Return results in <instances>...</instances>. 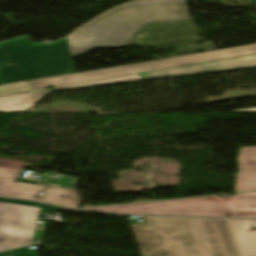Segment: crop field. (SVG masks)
Here are the masks:
<instances>
[{"instance_id": "obj_1", "label": "crop field", "mask_w": 256, "mask_h": 256, "mask_svg": "<svg viewBox=\"0 0 256 256\" xmlns=\"http://www.w3.org/2000/svg\"><path fill=\"white\" fill-rule=\"evenodd\" d=\"M190 19L186 3L123 5L78 28L63 40L31 43L28 36L0 43L2 84L74 73L72 58L93 48L126 46L148 23Z\"/></svg>"}, {"instance_id": "obj_3", "label": "crop field", "mask_w": 256, "mask_h": 256, "mask_svg": "<svg viewBox=\"0 0 256 256\" xmlns=\"http://www.w3.org/2000/svg\"><path fill=\"white\" fill-rule=\"evenodd\" d=\"M256 54V44L29 81L34 90Z\"/></svg>"}, {"instance_id": "obj_5", "label": "crop field", "mask_w": 256, "mask_h": 256, "mask_svg": "<svg viewBox=\"0 0 256 256\" xmlns=\"http://www.w3.org/2000/svg\"><path fill=\"white\" fill-rule=\"evenodd\" d=\"M40 210L0 202V252L31 244Z\"/></svg>"}, {"instance_id": "obj_9", "label": "crop field", "mask_w": 256, "mask_h": 256, "mask_svg": "<svg viewBox=\"0 0 256 256\" xmlns=\"http://www.w3.org/2000/svg\"><path fill=\"white\" fill-rule=\"evenodd\" d=\"M235 192L256 190V146L242 147Z\"/></svg>"}, {"instance_id": "obj_11", "label": "crop field", "mask_w": 256, "mask_h": 256, "mask_svg": "<svg viewBox=\"0 0 256 256\" xmlns=\"http://www.w3.org/2000/svg\"><path fill=\"white\" fill-rule=\"evenodd\" d=\"M51 91H37L26 94L0 97V112H20L39 103Z\"/></svg>"}, {"instance_id": "obj_14", "label": "crop field", "mask_w": 256, "mask_h": 256, "mask_svg": "<svg viewBox=\"0 0 256 256\" xmlns=\"http://www.w3.org/2000/svg\"><path fill=\"white\" fill-rule=\"evenodd\" d=\"M139 79H141L139 77V75L134 74V75H128V76H122V77H116V78H110V79H104V80H98V81H92V82H86V83H80V84H74V85H68V86H62V87H56V88H53V89L91 86V85H99V84H107V83H114V82L139 80Z\"/></svg>"}, {"instance_id": "obj_15", "label": "crop field", "mask_w": 256, "mask_h": 256, "mask_svg": "<svg viewBox=\"0 0 256 256\" xmlns=\"http://www.w3.org/2000/svg\"><path fill=\"white\" fill-rule=\"evenodd\" d=\"M31 90L32 88L30 87L28 82L4 85V86H0V96L19 93V92H25V91H31Z\"/></svg>"}, {"instance_id": "obj_2", "label": "crop field", "mask_w": 256, "mask_h": 256, "mask_svg": "<svg viewBox=\"0 0 256 256\" xmlns=\"http://www.w3.org/2000/svg\"><path fill=\"white\" fill-rule=\"evenodd\" d=\"M144 218L131 225L142 256H213L199 218Z\"/></svg>"}, {"instance_id": "obj_10", "label": "crop field", "mask_w": 256, "mask_h": 256, "mask_svg": "<svg viewBox=\"0 0 256 256\" xmlns=\"http://www.w3.org/2000/svg\"><path fill=\"white\" fill-rule=\"evenodd\" d=\"M228 220V219H227ZM241 256H256V232L250 233V221L228 220ZM256 227V221H252Z\"/></svg>"}, {"instance_id": "obj_4", "label": "crop field", "mask_w": 256, "mask_h": 256, "mask_svg": "<svg viewBox=\"0 0 256 256\" xmlns=\"http://www.w3.org/2000/svg\"><path fill=\"white\" fill-rule=\"evenodd\" d=\"M131 214H176L230 217L229 198L218 197L86 209Z\"/></svg>"}, {"instance_id": "obj_13", "label": "crop field", "mask_w": 256, "mask_h": 256, "mask_svg": "<svg viewBox=\"0 0 256 256\" xmlns=\"http://www.w3.org/2000/svg\"><path fill=\"white\" fill-rule=\"evenodd\" d=\"M44 202L70 208H77L82 203L75 190L49 186Z\"/></svg>"}, {"instance_id": "obj_12", "label": "crop field", "mask_w": 256, "mask_h": 256, "mask_svg": "<svg viewBox=\"0 0 256 256\" xmlns=\"http://www.w3.org/2000/svg\"><path fill=\"white\" fill-rule=\"evenodd\" d=\"M231 217L256 218V192L230 197Z\"/></svg>"}, {"instance_id": "obj_6", "label": "crop field", "mask_w": 256, "mask_h": 256, "mask_svg": "<svg viewBox=\"0 0 256 256\" xmlns=\"http://www.w3.org/2000/svg\"><path fill=\"white\" fill-rule=\"evenodd\" d=\"M200 219L214 256H240L226 219Z\"/></svg>"}, {"instance_id": "obj_16", "label": "crop field", "mask_w": 256, "mask_h": 256, "mask_svg": "<svg viewBox=\"0 0 256 256\" xmlns=\"http://www.w3.org/2000/svg\"><path fill=\"white\" fill-rule=\"evenodd\" d=\"M11 253L13 256H37L36 251L30 250L29 248L13 251Z\"/></svg>"}, {"instance_id": "obj_7", "label": "crop field", "mask_w": 256, "mask_h": 256, "mask_svg": "<svg viewBox=\"0 0 256 256\" xmlns=\"http://www.w3.org/2000/svg\"><path fill=\"white\" fill-rule=\"evenodd\" d=\"M256 66V55L182 67L175 69H168L162 71L148 72L139 74L142 79H150V78H158V77H166V76H174V75H182V74H192V73H203V72H211V71H219V70H227V69H236V68H244V67H252Z\"/></svg>"}, {"instance_id": "obj_17", "label": "crop field", "mask_w": 256, "mask_h": 256, "mask_svg": "<svg viewBox=\"0 0 256 256\" xmlns=\"http://www.w3.org/2000/svg\"><path fill=\"white\" fill-rule=\"evenodd\" d=\"M0 201H1V202H8V203H15V204H22V205L37 206V207H40V206H41V204H38V203H31V202H24V201L3 199V198H0Z\"/></svg>"}, {"instance_id": "obj_20", "label": "crop field", "mask_w": 256, "mask_h": 256, "mask_svg": "<svg viewBox=\"0 0 256 256\" xmlns=\"http://www.w3.org/2000/svg\"><path fill=\"white\" fill-rule=\"evenodd\" d=\"M0 256H12V255L10 251H8V252L0 253Z\"/></svg>"}, {"instance_id": "obj_19", "label": "crop field", "mask_w": 256, "mask_h": 256, "mask_svg": "<svg viewBox=\"0 0 256 256\" xmlns=\"http://www.w3.org/2000/svg\"><path fill=\"white\" fill-rule=\"evenodd\" d=\"M231 112H256V107L254 108H247V109H241V110H234Z\"/></svg>"}, {"instance_id": "obj_8", "label": "crop field", "mask_w": 256, "mask_h": 256, "mask_svg": "<svg viewBox=\"0 0 256 256\" xmlns=\"http://www.w3.org/2000/svg\"><path fill=\"white\" fill-rule=\"evenodd\" d=\"M22 170L0 168V196L41 201L44 186L17 183Z\"/></svg>"}, {"instance_id": "obj_18", "label": "crop field", "mask_w": 256, "mask_h": 256, "mask_svg": "<svg viewBox=\"0 0 256 256\" xmlns=\"http://www.w3.org/2000/svg\"><path fill=\"white\" fill-rule=\"evenodd\" d=\"M168 1H179V0H134L128 3L145 4V3L168 2Z\"/></svg>"}]
</instances>
